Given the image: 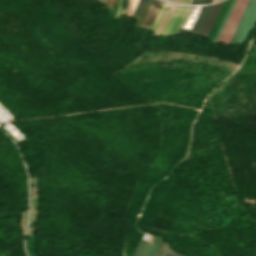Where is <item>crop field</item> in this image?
I'll return each instance as SVG.
<instances>
[{
  "instance_id": "crop-field-9",
  "label": "crop field",
  "mask_w": 256,
  "mask_h": 256,
  "mask_svg": "<svg viewBox=\"0 0 256 256\" xmlns=\"http://www.w3.org/2000/svg\"><path fill=\"white\" fill-rule=\"evenodd\" d=\"M171 6V3H167L165 2L163 8L161 9L156 21L154 22V24L152 25L150 31H152L154 34L156 32V30L158 29L159 25L161 24V22L163 21L164 17L166 16L169 8Z\"/></svg>"
},
{
  "instance_id": "crop-field-6",
  "label": "crop field",
  "mask_w": 256,
  "mask_h": 256,
  "mask_svg": "<svg viewBox=\"0 0 256 256\" xmlns=\"http://www.w3.org/2000/svg\"><path fill=\"white\" fill-rule=\"evenodd\" d=\"M231 1H232V0H226V1L224 2L223 6H222V8H221V10H220V12H219L217 18H216V21H215V23H214V25H213V27H212V29H211V31H210L208 37H207V39L209 40V42H211V43L213 42V40H214V38H215V36H216V34H217V31H218V29H219V27H220V25H221V22H222V20H223L225 14H226V11H227V9H228V7H229Z\"/></svg>"
},
{
  "instance_id": "crop-field-10",
  "label": "crop field",
  "mask_w": 256,
  "mask_h": 256,
  "mask_svg": "<svg viewBox=\"0 0 256 256\" xmlns=\"http://www.w3.org/2000/svg\"><path fill=\"white\" fill-rule=\"evenodd\" d=\"M255 20H256V7H255L253 13L251 14V16H250L243 32H242L237 44L243 43L244 39L246 38L247 34L249 33L250 29L252 28Z\"/></svg>"
},
{
  "instance_id": "crop-field-20",
  "label": "crop field",
  "mask_w": 256,
  "mask_h": 256,
  "mask_svg": "<svg viewBox=\"0 0 256 256\" xmlns=\"http://www.w3.org/2000/svg\"><path fill=\"white\" fill-rule=\"evenodd\" d=\"M171 1L178 2V0H171Z\"/></svg>"
},
{
  "instance_id": "crop-field-14",
  "label": "crop field",
  "mask_w": 256,
  "mask_h": 256,
  "mask_svg": "<svg viewBox=\"0 0 256 256\" xmlns=\"http://www.w3.org/2000/svg\"><path fill=\"white\" fill-rule=\"evenodd\" d=\"M137 2H138V0H130L129 1L127 8H126V12H125L127 16H129V17L131 16V13H132L134 7L136 6Z\"/></svg>"
},
{
  "instance_id": "crop-field-12",
  "label": "crop field",
  "mask_w": 256,
  "mask_h": 256,
  "mask_svg": "<svg viewBox=\"0 0 256 256\" xmlns=\"http://www.w3.org/2000/svg\"><path fill=\"white\" fill-rule=\"evenodd\" d=\"M169 244L161 242L154 256H163Z\"/></svg>"
},
{
  "instance_id": "crop-field-24",
  "label": "crop field",
  "mask_w": 256,
  "mask_h": 256,
  "mask_svg": "<svg viewBox=\"0 0 256 256\" xmlns=\"http://www.w3.org/2000/svg\"><path fill=\"white\" fill-rule=\"evenodd\" d=\"M189 3V0L187 1V4Z\"/></svg>"
},
{
  "instance_id": "crop-field-19",
  "label": "crop field",
  "mask_w": 256,
  "mask_h": 256,
  "mask_svg": "<svg viewBox=\"0 0 256 256\" xmlns=\"http://www.w3.org/2000/svg\"><path fill=\"white\" fill-rule=\"evenodd\" d=\"M100 1H102V2H104V3L106 2V0H100Z\"/></svg>"
},
{
  "instance_id": "crop-field-23",
  "label": "crop field",
  "mask_w": 256,
  "mask_h": 256,
  "mask_svg": "<svg viewBox=\"0 0 256 256\" xmlns=\"http://www.w3.org/2000/svg\"><path fill=\"white\" fill-rule=\"evenodd\" d=\"M186 1H187V0H184V2H183V3H186Z\"/></svg>"
},
{
  "instance_id": "crop-field-16",
  "label": "crop field",
  "mask_w": 256,
  "mask_h": 256,
  "mask_svg": "<svg viewBox=\"0 0 256 256\" xmlns=\"http://www.w3.org/2000/svg\"><path fill=\"white\" fill-rule=\"evenodd\" d=\"M174 7H175V4L172 5L170 11L168 12V14H167V16L165 17L164 21L162 22V24L160 25L159 29L157 30L156 35H160V33H161L163 27L165 26V24H166V22H167V20H168V18H169V16H170V14H171V12L173 11Z\"/></svg>"
},
{
  "instance_id": "crop-field-25",
  "label": "crop field",
  "mask_w": 256,
  "mask_h": 256,
  "mask_svg": "<svg viewBox=\"0 0 256 256\" xmlns=\"http://www.w3.org/2000/svg\"><path fill=\"white\" fill-rule=\"evenodd\" d=\"M191 2V1H190ZM190 4V3H189Z\"/></svg>"
},
{
  "instance_id": "crop-field-22",
  "label": "crop field",
  "mask_w": 256,
  "mask_h": 256,
  "mask_svg": "<svg viewBox=\"0 0 256 256\" xmlns=\"http://www.w3.org/2000/svg\"><path fill=\"white\" fill-rule=\"evenodd\" d=\"M217 0H213V2L212 3H214V2H216Z\"/></svg>"
},
{
  "instance_id": "crop-field-1",
  "label": "crop field",
  "mask_w": 256,
  "mask_h": 256,
  "mask_svg": "<svg viewBox=\"0 0 256 256\" xmlns=\"http://www.w3.org/2000/svg\"><path fill=\"white\" fill-rule=\"evenodd\" d=\"M248 3V0H237V3L221 33V36L218 41H221L223 43H229L236 26L243 14V11Z\"/></svg>"
},
{
  "instance_id": "crop-field-18",
  "label": "crop field",
  "mask_w": 256,
  "mask_h": 256,
  "mask_svg": "<svg viewBox=\"0 0 256 256\" xmlns=\"http://www.w3.org/2000/svg\"><path fill=\"white\" fill-rule=\"evenodd\" d=\"M165 256H183V255L178 254V253L174 252L173 250H171L170 248H168Z\"/></svg>"
},
{
  "instance_id": "crop-field-26",
  "label": "crop field",
  "mask_w": 256,
  "mask_h": 256,
  "mask_svg": "<svg viewBox=\"0 0 256 256\" xmlns=\"http://www.w3.org/2000/svg\"><path fill=\"white\" fill-rule=\"evenodd\" d=\"M256 23V22H255Z\"/></svg>"
},
{
  "instance_id": "crop-field-15",
  "label": "crop field",
  "mask_w": 256,
  "mask_h": 256,
  "mask_svg": "<svg viewBox=\"0 0 256 256\" xmlns=\"http://www.w3.org/2000/svg\"><path fill=\"white\" fill-rule=\"evenodd\" d=\"M235 2H236V0H233L231 6H230V8H229V10H228V12H227V14H226V16H225V19H224V21H223V23H222V25H221V27H220V30H219V32H218V34H217V36H216V38H215V40H214L215 43L217 42V39H218V37H219V35H220L222 29H223V26H224V24H225V22H226V20H227V18H228V16H229V14H230V12H231V10H232V8H233Z\"/></svg>"
},
{
  "instance_id": "crop-field-7",
  "label": "crop field",
  "mask_w": 256,
  "mask_h": 256,
  "mask_svg": "<svg viewBox=\"0 0 256 256\" xmlns=\"http://www.w3.org/2000/svg\"><path fill=\"white\" fill-rule=\"evenodd\" d=\"M162 239L160 237H157L154 245H150L146 242H140L134 256H153L154 252L156 251L160 241Z\"/></svg>"
},
{
  "instance_id": "crop-field-11",
  "label": "crop field",
  "mask_w": 256,
  "mask_h": 256,
  "mask_svg": "<svg viewBox=\"0 0 256 256\" xmlns=\"http://www.w3.org/2000/svg\"><path fill=\"white\" fill-rule=\"evenodd\" d=\"M148 0H139L135 10H134V13L132 15V19H138L142 9L144 8L145 4L147 3Z\"/></svg>"
},
{
  "instance_id": "crop-field-17",
  "label": "crop field",
  "mask_w": 256,
  "mask_h": 256,
  "mask_svg": "<svg viewBox=\"0 0 256 256\" xmlns=\"http://www.w3.org/2000/svg\"><path fill=\"white\" fill-rule=\"evenodd\" d=\"M211 2L212 0H193L191 4H207Z\"/></svg>"
},
{
  "instance_id": "crop-field-3",
  "label": "crop field",
  "mask_w": 256,
  "mask_h": 256,
  "mask_svg": "<svg viewBox=\"0 0 256 256\" xmlns=\"http://www.w3.org/2000/svg\"><path fill=\"white\" fill-rule=\"evenodd\" d=\"M164 2L160 0H152L141 24L139 27L150 29L152 23L154 22L157 14L159 13L160 9L162 8Z\"/></svg>"
},
{
  "instance_id": "crop-field-5",
  "label": "crop field",
  "mask_w": 256,
  "mask_h": 256,
  "mask_svg": "<svg viewBox=\"0 0 256 256\" xmlns=\"http://www.w3.org/2000/svg\"><path fill=\"white\" fill-rule=\"evenodd\" d=\"M214 5L213 6H202L201 8V13L199 14L192 30L190 31V33H193V34H196V35H199L203 25L205 24L208 16L210 15L212 9H213Z\"/></svg>"
},
{
  "instance_id": "crop-field-8",
  "label": "crop field",
  "mask_w": 256,
  "mask_h": 256,
  "mask_svg": "<svg viewBox=\"0 0 256 256\" xmlns=\"http://www.w3.org/2000/svg\"><path fill=\"white\" fill-rule=\"evenodd\" d=\"M223 2L218 3V4L215 5L211 15L209 16L206 24L204 25V27H203V29H202V31L200 33L201 36L207 37V35H208V33H209V31H210V29H211V27H212V25H213V23L215 21V18L217 16V14H218V12H219Z\"/></svg>"
},
{
  "instance_id": "crop-field-13",
  "label": "crop field",
  "mask_w": 256,
  "mask_h": 256,
  "mask_svg": "<svg viewBox=\"0 0 256 256\" xmlns=\"http://www.w3.org/2000/svg\"><path fill=\"white\" fill-rule=\"evenodd\" d=\"M127 3H128V0H120V1H119L118 9H117V14H116V16H115V19H117L118 15H119V12H120V10H121L122 7H123V9H122L120 18L123 16L124 10H125V8H126Z\"/></svg>"
},
{
  "instance_id": "crop-field-21",
  "label": "crop field",
  "mask_w": 256,
  "mask_h": 256,
  "mask_svg": "<svg viewBox=\"0 0 256 256\" xmlns=\"http://www.w3.org/2000/svg\"><path fill=\"white\" fill-rule=\"evenodd\" d=\"M179 2H180V3H182V2H183V0H179Z\"/></svg>"
},
{
  "instance_id": "crop-field-4",
  "label": "crop field",
  "mask_w": 256,
  "mask_h": 256,
  "mask_svg": "<svg viewBox=\"0 0 256 256\" xmlns=\"http://www.w3.org/2000/svg\"><path fill=\"white\" fill-rule=\"evenodd\" d=\"M255 4H256V0H250L249 1L248 5H247V7L244 11V14H243V16H242V18H241V20H240V22L237 26V29H236V31H235V33H234V35H233L229 44H236V42H237V40H238V38H239L243 28H244L249 16H250Z\"/></svg>"
},
{
  "instance_id": "crop-field-2",
  "label": "crop field",
  "mask_w": 256,
  "mask_h": 256,
  "mask_svg": "<svg viewBox=\"0 0 256 256\" xmlns=\"http://www.w3.org/2000/svg\"><path fill=\"white\" fill-rule=\"evenodd\" d=\"M192 7L176 5L162 33L174 35L182 26Z\"/></svg>"
}]
</instances>
